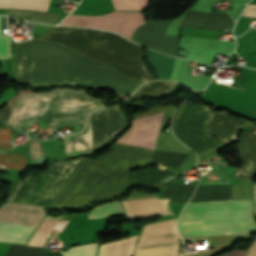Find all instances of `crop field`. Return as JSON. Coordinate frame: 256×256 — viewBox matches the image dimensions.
I'll use <instances>...</instances> for the list:
<instances>
[{
    "label": "crop field",
    "instance_id": "crop-field-1",
    "mask_svg": "<svg viewBox=\"0 0 256 256\" xmlns=\"http://www.w3.org/2000/svg\"><path fill=\"white\" fill-rule=\"evenodd\" d=\"M17 73L20 82L105 86L125 96L142 83L68 48L37 40L18 44Z\"/></svg>",
    "mask_w": 256,
    "mask_h": 256
},
{
    "label": "crop field",
    "instance_id": "crop-field-2",
    "mask_svg": "<svg viewBox=\"0 0 256 256\" xmlns=\"http://www.w3.org/2000/svg\"><path fill=\"white\" fill-rule=\"evenodd\" d=\"M152 151L114 143L96 160L82 158L49 207L70 209L124 194L129 171L149 164Z\"/></svg>",
    "mask_w": 256,
    "mask_h": 256
},
{
    "label": "crop field",
    "instance_id": "crop-field-3",
    "mask_svg": "<svg viewBox=\"0 0 256 256\" xmlns=\"http://www.w3.org/2000/svg\"><path fill=\"white\" fill-rule=\"evenodd\" d=\"M37 39L64 44L90 59L108 64L133 79L144 82L153 80L140 60V46L115 33L56 27Z\"/></svg>",
    "mask_w": 256,
    "mask_h": 256
},
{
    "label": "crop field",
    "instance_id": "crop-field-4",
    "mask_svg": "<svg viewBox=\"0 0 256 256\" xmlns=\"http://www.w3.org/2000/svg\"><path fill=\"white\" fill-rule=\"evenodd\" d=\"M103 107L102 101L93 99L84 90L54 89L48 93L22 92L13 107L6 126L39 123L40 128L84 123L93 110Z\"/></svg>",
    "mask_w": 256,
    "mask_h": 256
},
{
    "label": "crop field",
    "instance_id": "crop-field-5",
    "mask_svg": "<svg viewBox=\"0 0 256 256\" xmlns=\"http://www.w3.org/2000/svg\"><path fill=\"white\" fill-rule=\"evenodd\" d=\"M252 200L188 203L177 226L182 236L256 232Z\"/></svg>",
    "mask_w": 256,
    "mask_h": 256
},
{
    "label": "crop field",
    "instance_id": "crop-field-6",
    "mask_svg": "<svg viewBox=\"0 0 256 256\" xmlns=\"http://www.w3.org/2000/svg\"><path fill=\"white\" fill-rule=\"evenodd\" d=\"M40 206L5 203L0 207V222L37 226L46 211ZM0 223V242L25 244L35 227Z\"/></svg>",
    "mask_w": 256,
    "mask_h": 256
},
{
    "label": "crop field",
    "instance_id": "crop-field-7",
    "mask_svg": "<svg viewBox=\"0 0 256 256\" xmlns=\"http://www.w3.org/2000/svg\"><path fill=\"white\" fill-rule=\"evenodd\" d=\"M142 23V13L113 11L102 16L69 15L60 24L111 29L130 37L133 30Z\"/></svg>",
    "mask_w": 256,
    "mask_h": 256
},
{
    "label": "crop field",
    "instance_id": "crop-field-8",
    "mask_svg": "<svg viewBox=\"0 0 256 256\" xmlns=\"http://www.w3.org/2000/svg\"><path fill=\"white\" fill-rule=\"evenodd\" d=\"M173 20L148 22L136 29L131 39L156 51L175 56L177 37L164 36L166 28Z\"/></svg>",
    "mask_w": 256,
    "mask_h": 256
},
{
    "label": "crop field",
    "instance_id": "crop-field-9",
    "mask_svg": "<svg viewBox=\"0 0 256 256\" xmlns=\"http://www.w3.org/2000/svg\"><path fill=\"white\" fill-rule=\"evenodd\" d=\"M162 113L131 120L130 128L114 142L153 149Z\"/></svg>",
    "mask_w": 256,
    "mask_h": 256
},
{
    "label": "crop field",
    "instance_id": "crop-field-10",
    "mask_svg": "<svg viewBox=\"0 0 256 256\" xmlns=\"http://www.w3.org/2000/svg\"><path fill=\"white\" fill-rule=\"evenodd\" d=\"M230 16L188 11L180 26L228 32Z\"/></svg>",
    "mask_w": 256,
    "mask_h": 256
},
{
    "label": "crop field",
    "instance_id": "crop-field-11",
    "mask_svg": "<svg viewBox=\"0 0 256 256\" xmlns=\"http://www.w3.org/2000/svg\"><path fill=\"white\" fill-rule=\"evenodd\" d=\"M66 140V152L73 155H89L93 153L90 119L82 132L64 136Z\"/></svg>",
    "mask_w": 256,
    "mask_h": 256
},
{
    "label": "crop field",
    "instance_id": "crop-field-12",
    "mask_svg": "<svg viewBox=\"0 0 256 256\" xmlns=\"http://www.w3.org/2000/svg\"><path fill=\"white\" fill-rule=\"evenodd\" d=\"M49 0H0V8H20L45 11Z\"/></svg>",
    "mask_w": 256,
    "mask_h": 256
},
{
    "label": "crop field",
    "instance_id": "crop-field-13",
    "mask_svg": "<svg viewBox=\"0 0 256 256\" xmlns=\"http://www.w3.org/2000/svg\"><path fill=\"white\" fill-rule=\"evenodd\" d=\"M174 83L170 81H153L144 84L135 93L142 95H162L173 90Z\"/></svg>",
    "mask_w": 256,
    "mask_h": 256
},
{
    "label": "crop field",
    "instance_id": "crop-field-14",
    "mask_svg": "<svg viewBox=\"0 0 256 256\" xmlns=\"http://www.w3.org/2000/svg\"><path fill=\"white\" fill-rule=\"evenodd\" d=\"M122 213L119 202L108 203L92 209L87 219L105 217Z\"/></svg>",
    "mask_w": 256,
    "mask_h": 256
},
{
    "label": "crop field",
    "instance_id": "crop-field-15",
    "mask_svg": "<svg viewBox=\"0 0 256 256\" xmlns=\"http://www.w3.org/2000/svg\"><path fill=\"white\" fill-rule=\"evenodd\" d=\"M0 167L22 170L26 161L23 155H0Z\"/></svg>",
    "mask_w": 256,
    "mask_h": 256
},
{
    "label": "crop field",
    "instance_id": "crop-field-16",
    "mask_svg": "<svg viewBox=\"0 0 256 256\" xmlns=\"http://www.w3.org/2000/svg\"><path fill=\"white\" fill-rule=\"evenodd\" d=\"M148 0H111L115 9L145 10Z\"/></svg>",
    "mask_w": 256,
    "mask_h": 256
},
{
    "label": "crop field",
    "instance_id": "crop-field-17",
    "mask_svg": "<svg viewBox=\"0 0 256 256\" xmlns=\"http://www.w3.org/2000/svg\"><path fill=\"white\" fill-rule=\"evenodd\" d=\"M97 243L75 247L66 252H63L65 256H94Z\"/></svg>",
    "mask_w": 256,
    "mask_h": 256
},
{
    "label": "crop field",
    "instance_id": "crop-field-18",
    "mask_svg": "<svg viewBox=\"0 0 256 256\" xmlns=\"http://www.w3.org/2000/svg\"><path fill=\"white\" fill-rule=\"evenodd\" d=\"M10 57L9 36H2L0 33V58Z\"/></svg>",
    "mask_w": 256,
    "mask_h": 256
},
{
    "label": "crop field",
    "instance_id": "crop-field-19",
    "mask_svg": "<svg viewBox=\"0 0 256 256\" xmlns=\"http://www.w3.org/2000/svg\"><path fill=\"white\" fill-rule=\"evenodd\" d=\"M72 217V216H71ZM70 216H61L60 220L58 221L57 225L53 229L52 233L50 234L49 238L57 239L58 235L62 231L63 227L67 223ZM70 220V219H69ZM48 238V237H47Z\"/></svg>",
    "mask_w": 256,
    "mask_h": 256
},
{
    "label": "crop field",
    "instance_id": "crop-field-20",
    "mask_svg": "<svg viewBox=\"0 0 256 256\" xmlns=\"http://www.w3.org/2000/svg\"><path fill=\"white\" fill-rule=\"evenodd\" d=\"M242 15L256 16V5H247Z\"/></svg>",
    "mask_w": 256,
    "mask_h": 256
},
{
    "label": "crop field",
    "instance_id": "crop-field-21",
    "mask_svg": "<svg viewBox=\"0 0 256 256\" xmlns=\"http://www.w3.org/2000/svg\"><path fill=\"white\" fill-rule=\"evenodd\" d=\"M247 250H239V249H235L229 253H226L222 256H244Z\"/></svg>",
    "mask_w": 256,
    "mask_h": 256
},
{
    "label": "crop field",
    "instance_id": "crop-field-22",
    "mask_svg": "<svg viewBox=\"0 0 256 256\" xmlns=\"http://www.w3.org/2000/svg\"><path fill=\"white\" fill-rule=\"evenodd\" d=\"M8 129L9 128H0V140H8Z\"/></svg>",
    "mask_w": 256,
    "mask_h": 256
},
{
    "label": "crop field",
    "instance_id": "crop-field-23",
    "mask_svg": "<svg viewBox=\"0 0 256 256\" xmlns=\"http://www.w3.org/2000/svg\"><path fill=\"white\" fill-rule=\"evenodd\" d=\"M231 85L241 86L239 77L233 76V78L231 79Z\"/></svg>",
    "mask_w": 256,
    "mask_h": 256
},
{
    "label": "crop field",
    "instance_id": "crop-field-24",
    "mask_svg": "<svg viewBox=\"0 0 256 256\" xmlns=\"http://www.w3.org/2000/svg\"><path fill=\"white\" fill-rule=\"evenodd\" d=\"M0 147H9L8 142H0Z\"/></svg>",
    "mask_w": 256,
    "mask_h": 256
},
{
    "label": "crop field",
    "instance_id": "crop-field-25",
    "mask_svg": "<svg viewBox=\"0 0 256 256\" xmlns=\"http://www.w3.org/2000/svg\"><path fill=\"white\" fill-rule=\"evenodd\" d=\"M255 202H256V185H255ZM255 209H256V204H255Z\"/></svg>",
    "mask_w": 256,
    "mask_h": 256
}]
</instances>
